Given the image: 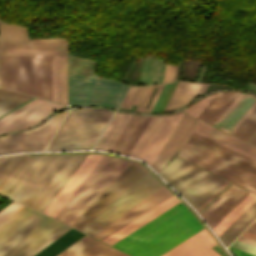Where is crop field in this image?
Returning <instances> with one entry per match:
<instances>
[{
  "instance_id": "obj_1",
  "label": "crop field",
  "mask_w": 256,
  "mask_h": 256,
  "mask_svg": "<svg viewBox=\"0 0 256 256\" xmlns=\"http://www.w3.org/2000/svg\"><path fill=\"white\" fill-rule=\"evenodd\" d=\"M87 155L30 156L1 194L43 212Z\"/></svg>"
},
{
  "instance_id": "obj_2",
  "label": "crop field",
  "mask_w": 256,
  "mask_h": 256,
  "mask_svg": "<svg viewBox=\"0 0 256 256\" xmlns=\"http://www.w3.org/2000/svg\"><path fill=\"white\" fill-rule=\"evenodd\" d=\"M195 218L180 202L112 246L132 256H159L203 229Z\"/></svg>"
},
{
  "instance_id": "obj_3",
  "label": "crop field",
  "mask_w": 256,
  "mask_h": 256,
  "mask_svg": "<svg viewBox=\"0 0 256 256\" xmlns=\"http://www.w3.org/2000/svg\"><path fill=\"white\" fill-rule=\"evenodd\" d=\"M69 228L24 207L0 224V256H33Z\"/></svg>"
},
{
  "instance_id": "obj_4",
  "label": "crop field",
  "mask_w": 256,
  "mask_h": 256,
  "mask_svg": "<svg viewBox=\"0 0 256 256\" xmlns=\"http://www.w3.org/2000/svg\"><path fill=\"white\" fill-rule=\"evenodd\" d=\"M130 163L103 155L55 218L70 225Z\"/></svg>"
},
{
  "instance_id": "obj_5",
  "label": "crop field",
  "mask_w": 256,
  "mask_h": 256,
  "mask_svg": "<svg viewBox=\"0 0 256 256\" xmlns=\"http://www.w3.org/2000/svg\"><path fill=\"white\" fill-rule=\"evenodd\" d=\"M113 113L94 109L70 111L46 150L92 148Z\"/></svg>"
},
{
  "instance_id": "obj_6",
  "label": "crop field",
  "mask_w": 256,
  "mask_h": 256,
  "mask_svg": "<svg viewBox=\"0 0 256 256\" xmlns=\"http://www.w3.org/2000/svg\"><path fill=\"white\" fill-rule=\"evenodd\" d=\"M160 175L179 191L196 210L213 195L226 180L176 157Z\"/></svg>"
},
{
  "instance_id": "obj_7",
  "label": "crop field",
  "mask_w": 256,
  "mask_h": 256,
  "mask_svg": "<svg viewBox=\"0 0 256 256\" xmlns=\"http://www.w3.org/2000/svg\"><path fill=\"white\" fill-rule=\"evenodd\" d=\"M127 87L96 76L69 75V104L117 108Z\"/></svg>"
},
{
  "instance_id": "obj_8",
  "label": "crop field",
  "mask_w": 256,
  "mask_h": 256,
  "mask_svg": "<svg viewBox=\"0 0 256 256\" xmlns=\"http://www.w3.org/2000/svg\"><path fill=\"white\" fill-rule=\"evenodd\" d=\"M162 186L148 171L123 192L82 231L95 235L127 210Z\"/></svg>"
},
{
  "instance_id": "obj_9",
  "label": "crop field",
  "mask_w": 256,
  "mask_h": 256,
  "mask_svg": "<svg viewBox=\"0 0 256 256\" xmlns=\"http://www.w3.org/2000/svg\"><path fill=\"white\" fill-rule=\"evenodd\" d=\"M5 47H61L60 48H6V55L67 54V39L28 40L24 27L10 24L0 25V55H5Z\"/></svg>"
},
{
  "instance_id": "obj_10",
  "label": "crop field",
  "mask_w": 256,
  "mask_h": 256,
  "mask_svg": "<svg viewBox=\"0 0 256 256\" xmlns=\"http://www.w3.org/2000/svg\"><path fill=\"white\" fill-rule=\"evenodd\" d=\"M179 157L256 193V175L203 151L187 142Z\"/></svg>"
},
{
  "instance_id": "obj_11",
  "label": "crop field",
  "mask_w": 256,
  "mask_h": 256,
  "mask_svg": "<svg viewBox=\"0 0 256 256\" xmlns=\"http://www.w3.org/2000/svg\"><path fill=\"white\" fill-rule=\"evenodd\" d=\"M182 115L183 112H177L152 116L129 155L141 158L151 166Z\"/></svg>"
},
{
  "instance_id": "obj_12",
  "label": "crop field",
  "mask_w": 256,
  "mask_h": 256,
  "mask_svg": "<svg viewBox=\"0 0 256 256\" xmlns=\"http://www.w3.org/2000/svg\"><path fill=\"white\" fill-rule=\"evenodd\" d=\"M66 113L58 114L26 132L0 137V153L44 150Z\"/></svg>"
},
{
  "instance_id": "obj_13",
  "label": "crop field",
  "mask_w": 256,
  "mask_h": 256,
  "mask_svg": "<svg viewBox=\"0 0 256 256\" xmlns=\"http://www.w3.org/2000/svg\"><path fill=\"white\" fill-rule=\"evenodd\" d=\"M146 171L143 166L132 162L71 226L81 230Z\"/></svg>"
},
{
  "instance_id": "obj_14",
  "label": "crop field",
  "mask_w": 256,
  "mask_h": 256,
  "mask_svg": "<svg viewBox=\"0 0 256 256\" xmlns=\"http://www.w3.org/2000/svg\"><path fill=\"white\" fill-rule=\"evenodd\" d=\"M1 86L35 96V56H0Z\"/></svg>"
},
{
  "instance_id": "obj_15",
  "label": "crop field",
  "mask_w": 256,
  "mask_h": 256,
  "mask_svg": "<svg viewBox=\"0 0 256 256\" xmlns=\"http://www.w3.org/2000/svg\"><path fill=\"white\" fill-rule=\"evenodd\" d=\"M248 193L231 183L200 214L213 229Z\"/></svg>"
},
{
  "instance_id": "obj_16",
  "label": "crop field",
  "mask_w": 256,
  "mask_h": 256,
  "mask_svg": "<svg viewBox=\"0 0 256 256\" xmlns=\"http://www.w3.org/2000/svg\"><path fill=\"white\" fill-rule=\"evenodd\" d=\"M167 190L163 186L160 187L158 190H156L154 193L149 195L143 201L138 203L136 206H134L128 212L123 214L117 220H115L110 225H108L106 228H104L99 233H97L94 237H96L100 240L104 239L105 237L109 236L110 234L117 231L121 227L125 226L129 222L133 221L137 217L141 216L145 212L149 211L153 207L157 206L161 202L165 201L169 197L173 196Z\"/></svg>"
},
{
  "instance_id": "obj_17",
  "label": "crop field",
  "mask_w": 256,
  "mask_h": 256,
  "mask_svg": "<svg viewBox=\"0 0 256 256\" xmlns=\"http://www.w3.org/2000/svg\"><path fill=\"white\" fill-rule=\"evenodd\" d=\"M197 119L184 113L171 136L165 143L159 155L155 159L152 167L159 171L166 163H168L178 152L189 132L193 128Z\"/></svg>"
},
{
  "instance_id": "obj_18",
  "label": "crop field",
  "mask_w": 256,
  "mask_h": 256,
  "mask_svg": "<svg viewBox=\"0 0 256 256\" xmlns=\"http://www.w3.org/2000/svg\"><path fill=\"white\" fill-rule=\"evenodd\" d=\"M101 156V154H89L76 172L72 175V177L68 180L65 186L63 185L64 187L61 189V191L59 190L60 192L57 194V196L55 195L56 197L53 199V201L51 200L52 202L49 204V206L47 205L48 207L45 209V211L43 210L44 213L54 217L66 200L90 172L93 166L101 158Z\"/></svg>"
},
{
  "instance_id": "obj_19",
  "label": "crop field",
  "mask_w": 256,
  "mask_h": 256,
  "mask_svg": "<svg viewBox=\"0 0 256 256\" xmlns=\"http://www.w3.org/2000/svg\"><path fill=\"white\" fill-rule=\"evenodd\" d=\"M62 107H65V105L44 100L0 125V134L29 127L41 121L53 111Z\"/></svg>"
},
{
  "instance_id": "obj_20",
  "label": "crop field",
  "mask_w": 256,
  "mask_h": 256,
  "mask_svg": "<svg viewBox=\"0 0 256 256\" xmlns=\"http://www.w3.org/2000/svg\"><path fill=\"white\" fill-rule=\"evenodd\" d=\"M252 98L256 100V97L249 95V94H244L240 93L236 99L227 107V109L217 118V120L212 124L230 134L234 132V130L240 125V123L246 118V116L252 111V109L256 106V101L249 99ZM245 97V98H244ZM244 98V99H243ZM243 99V100H242ZM242 100V102H241ZM241 102V103H240ZM254 102V103H253ZM240 103V104H239ZM253 103V104H252ZM239 104V105H238ZM252 106L250 107V105ZM238 105V106H237ZM237 106V107H236ZM236 107V108H235ZM250 107V108H249ZM235 108V109H234ZM249 108V109H248ZM234 109V110H233ZM248 109V110H247ZM233 110V112H232ZM247 110V111H246ZM246 111V112H245ZM232 112V113H231ZM245 112V113H244ZM231 113V114H230ZM244 113V114H243ZM230 114V115H229ZM243 114V116H242ZM229 115V116H228ZM228 116V117H227ZM242 116V117H241ZM227 117V118H226ZM241 117V118H240ZM226 118V119H225ZM240 118V119H239ZM225 119V120H224ZM239 119V120H238ZM224 120V122H223ZM238 120V121H237ZM237 121V122H236ZM223 122V123H222ZM236 122V123H235ZM222 123V124H221ZM235 123V124H234ZM226 127L230 129L233 124L234 126L228 130L226 128H223L221 126Z\"/></svg>"
},
{
  "instance_id": "obj_21",
  "label": "crop field",
  "mask_w": 256,
  "mask_h": 256,
  "mask_svg": "<svg viewBox=\"0 0 256 256\" xmlns=\"http://www.w3.org/2000/svg\"><path fill=\"white\" fill-rule=\"evenodd\" d=\"M216 243L203 229L161 256H212Z\"/></svg>"
},
{
  "instance_id": "obj_22",
  "label": "crop field",
  "mask_w": 256,
  "mask_h": 256,
  "mask_svg": "<svg viewBox=\"0 0 256 256\" xmlns=\"http://www.w3.org/2000/svg\"><path fill=\"white\" fill-rule=\"evenodd\" d=\"M194 131L256 160L255 147L231 135H228L202 121H198L197 125L194 128Z\"/></svg>"
},
{
  "instance_id": "obj_23",
  "label": "crop field",
  "mask_w": 256,
  "mask_h": 256,
  "mask_svg": "<svg viewBox=\"0 0 256 256\" xmlns=\"http://www.w3.org/2000/svg\"><path fill=\"white\" fill-rule=\"evenodd\" d=\"M208 84L179 80L164 111L185 105L194 96L205 92Z\"/></svg>"
},
{
  "instance_id": "obj_24",
  "label": "crop field",
  "mask_w": 256,
  "mask_h": 256,
  "mask_svg": "<svg viewBox=\"0 0 256 256\" xmlns=\"http://www.w3.org/2000/svg\"><path fill=\"white\" fill-rule=\"evenodd\" d=\"M178 202H180V201L178 199H176L174 196L171 197L170 199L166 200L162 204L158 205L154 209L150 210L146 214L142 215L138 219L134 220L130 224L126 225L125 227L118 230L117 232H115L114 234L110 235L109 237H107L106 239H104L102 241H104L110 245L113 244L114 242L118 241L122 237L126 236L130 232L134 231L138 227L142 226L143 224H145L149 220L153 219L157 215L161 214L165 210L169 209L173 205L177 204Z\"/></svg>"
},
{
  "instance_id": "obj_25",
  "label": "crop field",
  "mask_w": 256,
  "mask_h": 256,
  "mask_svg": "<svg viewBox=\"0 0 256 256\" xmlns=\"http://www.w3.org/2000/svg\"><path fill=\"white\" fill-rule=\"evenodd\" d=\"M130 117V114L116 112L94 149L110 151Z\"/></svg>"
},
{
  "instance_id": "obj_26",
  "label": "crop field",
  "mask_w": 256,
  "mask_h": 256,
  "mask_svg": "<svg viewBox=\"0 0 256 256\" xmlns=\"http://www.w3.org/2000/svg\"><path fill=\"white\" fill-rule=\"evenodd\" d=\"M239 93L219 92L198 118L212 124Z\"/></svg>"
},
{
  "instance_id": "obj_27",
  "label": "crop field",
  "mask_w": 256,
  "mask_h": 256,
  "mask_svg": "<svg viewBox=\"0 0 256 256\" xmlns=\"http://www.w3.org/2000/svg\"><path fill=\"white\" fill-rule=\"evenodd\" d=\"M255 217L256 201L219 236L224 245L227 246ZM225 238L226 243L230 240L227 244Z\"/></svg>"
},
{
  "instance_id": "obj_28",
  "label": "crop field",
  "mask_w": 256,
  "mask_h": 256,
  "mask_svg": "<svg viewBox=\"0 0 256 256\" xmlns=\"http://www.w3.org/2000/svg\"><path fill=\"white\" fill-rule=\"evenodd\" d=\"M187 142H189V143H191V144H193V145H195V146H197V147H199L203 150H206V151H208V152H210V153H212V154H214V155H216V156H218L222 159H225V160H227V161H229V162H231V163H233V164H235L239 167H242V168L256 174V167L255 166H253V165H251V164H249V163H247V162H245V161H243V160H241L237 157H234V156H232V155H230V154H228V153H226V152H224V151H222V150H220V149H218L214 146H211V145H209V144H207V143H205V142H203V141H201V140H199V139H197V138H195L191 135H189V137L187 139Z\"/></svg>"
},
{
  "instance_id": "obj_29",
  "label": "crop field",
  "mask_w": 256,
  "mask_h": 256,
  "mask_svg": "<svg viewBox=\"0 0 256 256\" xmlns=\"http://www.w3.org/2000/svg\"><path fill=\"white\" fill-rule=\"evenodd\" d=\"M82 235L84 234L71 228L34 256H55Z\"/></svg>"
},
{
  "instance_id": "obj_30",
  "label": "crop field",
  "mask_w": 256,
  "mask_h": 256,
  "mask_svg": "<svg viewBox=\"0 0 256 256\" xmlns=\"http://www.w3.org/2000/svg\"><path fill=\"white\" fill-rule=\"evenodd\" d=\"M82 256H116V250L89 237H82Z\"/></svg>"
},
{
  "instance_id": "obj_31",
  "label": "crop field",
  "mask_w": 256,
  "mask_h": 256,
  "mask_svg": "<svg viewBox=\"0 0 256 256\" xmlns=\"http://www.w3.org/2000/svg\"><path fill=\"white\" fill-rule=\"evenodd\" d=\"M256 195L249 193L213 230L219 236L238 216H240L254 201Z\"/></svg>"
},
{
  "instance_id": "obj_32",
  "label": "crop field",
  "mask_w": 256,
  "mask_h": 256,
  "mask_svg": "<svg viewBox=\"0 0 256 256\" xmlns=\"http://www.w3.org/2000/svg\"><path fill=\"white\" fill-rule=\"evenodd\" d=\"M33 96L0 87V115L27 101Z\"/></svg>"
},
{
  "instance_id": "obj_33",
  "label": "crop field",
  "mask_w": 256,
  "mask_h": 256,
  "mask_svg": "<svg viewBox=\"0 0 256 256\" xmlns=\"http://www.w3.org/2000/svg\"><path fill=\"white\" fill-rule=\"evenodd\" d=\"M143 118L144 116L132 115L131 119L129 120L121 135L117 139L116 143L112 147V152L121 153V151L129 141L132 134L134 133V131L136 130V128L138 127Z\"/></svg>"
},
{
  "instance_id": "obj_34",
  "label": "crop field",
  "mask_w": 256,
  "mask_h": 256,
  "mask_svg": "<svg viewBox=\"0 0 256 256\" xmlns=\"http://www.w3.org/2000/svg\"><path fill=\"white\" fill-rule=\"evenodd\" d=\"M59 102L67 104V55L58 56Z\"/></svg>"
},
{
  "instance_id": "obj_35",
  "label": "crop field",
  "mask_w": 256,
  "mask_h": 256,
  "mask_svg": "<svg viewBox=\"0 0 256 256\" xmlns=\"http://www.w3.org/2000/svg\"><path fill=\"white\" fill-rule=\"evenodd\" d=\"M255 130H256V107L247 116V118L241 123V125L235 130L233 135L246 141Z\"/></svg>"
},
{
  "instance_id": "obj_36",
  "label": "crop field",
  "mask_w": 256,
  "mask_h": 256,
  "mask_svg": "<svg viewBox=\"0 0 256 256\" xmlns=\"http://www.w3.org/2000/svg\"><path fill=\"white\" fill-rule=\"evenodd\" d=\"M145 88H146V86L145 87H130L120 105V108H124L126 104H127V107H126L127 109H130L132 104L137 105Z\"/></svg>"
},
{
  "instance_id": "obj_37",
  "label": "crop field",
  "mask_w": 256,
  "mask_h": 256,
  "mask_svg": "<svg viewBox=\"0 0 256 256\" xmlns=\"http://www.w3.org/2000/svg\"><path fill=\"white\" fill-rule=\"evenodd\" d=\"M163 85L164 84L148 86L146 91H145V93H144V95H143V97H142V99H141V101H140V103H139V105H138V107H137V109H136V111H140V112H145L146 111L145 106H146V104H147V102L149 100V97H150L154 87H159V89H158V91H157V93H156V95H155V97H154V99H153V101H152L148 111H147V112H150L152 107H153V105H154V103H155V101H156V99H157V97H158V95H159V93H160V91H161V89H162V87H163Z\"/></svg>"
},
{
  "instance_id": "obj_38",
  "label": "crop field",
  "mask_w": 256,
  "mask_h": 256,
  "mask_svg": "<svg viewBox=\"0 0 256 256\" xmlns=\"http://www.w3.org/2000/svg\"><path fill=\"white\" fill-rule=\"evenodd\" d=\"M191 135H193V136H195V137H197V138H199V139H201V140H203V141H205V142H207L211 145H214V146H216V147H218V148H220V149H222V150H224V151H226V152H228V153H230L234 156H237V157H239V158H241V159H243V160H245V161H247V162L256 166V161H254V160H252V159H250V158H248V157H246V156H244L240 153H237V152H235V151H233V150H231V149H229V148H227V147H225V146H223V145H221L217 142H214V141H212V140H210V139H208V138H206V137H204V136H202V135H200V134H198L194 131H192Z\"/></svg>"
},
{
  "instance_id": "obj_39",
  "label": "crop field",
  "mask_w": 256,
  "mask_h": 256,
  "mask_svg": "<svg viewBox=\"0 0 256 256\" xmlns=\"http://www.w3.org/2000/svg\"><path fill=\"white\" fill-rule=\"evenodd\" d=\"M216 94H212L210 96L203 98L202 100L196 102L190 107L183 109V111L197 117L200 114V112L207 106V104L214 98Z\"/></svg>"
},
{
  "instance_id": "obj_40",
  "label": "crop field",
  "mask_w": 256,
  "mask_h": 256,
  "mask_svg": "<svg viewBox=\"0 0 256 256\" xmlns=\"http://www.w3.org/2000/svg\"><path fill=\"white\" fill-rule=\"evenodd\" d=\"M52 100L58 102L57 56H52Z\"/></svg>"
},
{
  "instance_id": "obj_41",
  "label": "crop field",
  "mask_w": 256,
  "mask_h": 256,
  "mask_svg": "<svg viewBox=\"0 0 256 256\" xmlns=\"http://www.w3.org/2000/svg\"><path fill=\"white\" fill-rule=\"evenodd\" d=\"M23 206L18 205L14 202H12L11 204H9L7 207L3 208L0 211V223L3 222L4 220H6L8 217H10L11 215H13L15 212H17L18 210H20Z\"/></svg>"
},
{
  "instance_id": "obj_42",
  "label": "crop field",
  "mask_w": 256,
  "mask_h": 256,
  "mask_svg": "<svg viewBox=\"0 0 256 256\" xmlns=\"http://www.w3.org/2000/svg\"><path fill=\"white\" fill-rule=\"evenodd\" d=\"M42 101V99H34L31 102L25 104L24 106L20 107L19 109L15 110L14 112L8 114L7 116L3 117L2 119H0V124L4 123L5 121L11 119L12 117L18 115L19 113L25 111L26 109L30 108L31 106L37 104L38 102Z\"/></svg>"
},
{
  "instance_id": "obj_43",
  "label": "crop field",
  "mask_w": 256,
  "mask_h": 256,
  "mask_svg": "<svg viewBox=\"0 0 256 256\" xmlns=\"http://www.w3.org/2000/svg\"><path fill=\"white\" fill-rule=\"evenodd\" d=\"M150 118H151V116H145V118L143 119L142 123L140 124V126L136 130L135 134L133 135V137L129 141L128 145L126 146V149L131 150V148L133 147L134 143L138 139L139 135L143 131L144 127L146 126V124L148 123Z\"/></svg>"
},
{
  "instance_id": "obj_44",
  "label": "crop field",
  "mask_w": 256,
  "mask_h": 256,
  "mask_svg": "<svg viewBox=\"0 0 256 256\" xmlns=\"http://www.w3.org/2000/svg\"><path fill=\"white\" fill-rule=\"evenodd\" d=\"M177 73V66L167 64L163 82H171L175 79Z\"/></svg>"
},
{
  "instance_id": "obj_45",
  "label": "crop field",
  "mask_w": 256,
  "mask_h": 256,
  "mask_svg": "<svg viewBox=\"0 0 256 256\" xmlns=\"http://www.w3.org/2000/svg\"><path fill=\"white\" fill-rule=\"evenodd\" d=\"M67 256H81V239L67 248Z\"/></svg>"
},
{
  "instance_id": "obj_46",
  "label": "crop field",
  "mask_w": 256,
  "mask_h": 256,
  "mask_svg": "<svg viewBox=\"0 0 256 256\" xmlns=\"http://www.w3.org/2000/svg\"><path fill=\"white\" fill-rule=\"evenodd\" d=\"M231 246L256 254V247L242 243L237 240L234 243H232Z\"/></svg>"
},
{
  "instance_id": "obj_47",
  "label": "crop field",
  "mask_w": 256,
  "mask_h": 256,
  "mask_svg": "<svg viewBox=\"0 0 256 256\" xmlns=\"http://www.w3.org/2000/svg\"><path fill=\"white\" fill-rule=\"evenodd\" d=\"M230 182H226L213 196H211L197 211L200 212L214 197H216Z\"/></svg>"
},
{
  "instance_id": "obj_48",
  "label": "crop field",
  "mask_w": 256,
  "mask_h": 256,
  "mask_svg": "<svg viewBox=\"0 0 256 256\" xmlns=\"http://www.w3.org/2000/svg\"><path fill=\"white\" fill-rule=\"evenodd\" d=\"M230 249L234 253L235 256H256V255H253V254H250L248 252L236 249V248L231 247V246H230Z\"/></svg>"
},
{
  "instance_id": "obj_49",
  "label": "crop field",
  "mask_w": 256,
  "mask_h": 256,
  "mask_svg": "<svg viewBox=\"0 0 256 256\" xmlns=\"http://www.w3.org/2000/svg\"><path fill=\"white\" fill-rule=\"evenodd\" d=\"M237 240H240V241H242V242H245V243H248V244H251V245L256 246V242H255V241L249 240V239L244 238V237H241V236H239V237L237 238Z\"/></svg>"
},
{
  "instance_id": "obj_50",
  "label": "crop field",
  "mask_w": 256,
  "mask_h": 256,
  "mask_svg": "<svg viewBox=\"0 0 256 256\" xmlns=\"http://www.w3.org/2000/svg\"><path fill=\"white\" fill-rule=\"evenodd\" d=\"M241 236H244V237H247L249 239H252V240H255L256 241V235L252 234V233H249V232H246L244 231Z\"/></svg>"
},
{
  "instance_id": "obj_51",
  "label": "crop field",
  "mask_w": 256,
  "mask_h": 256,
  "mask_svg": "<svg viewBox=\"0 0 256 256\" xmlns=\"http://www.w3.org/2000/svg\"><path fill=\"white\" fill-rule=\"evenodd\" d=\"M246 231L252 232L254 234H256V224L252 223L247 229Z\"/></svg>"
},
{
  "instance_id": "obj_52",
  "label": "crop field",
  "mask_w": 256,
  "mask_h": 256,
  "mask_svg": "<svg viewBox=\"0 0 256 256\" xmlns=\"http://www.w3.org/2000/svg\"><path fill=\"white\" fill-rule=\"evenodd\" d=\"M117 256H127V255H125V254H123V253L117 251Z\"/></svg>"
},
{
  "instance_id": "obj_53",
  "label": "crop field",
  "mask_w": 256,
  "mask_h": 256,
  "mask_svg": "<svg viewBox=\"0 0 256 256\" xmlns=\"http://www.w3.org/2000/svg\"><path fill=\"white\" fill-rule=\"evenodd\" d=\"M58 256H66V250H64L62 253H60Z\"/></svg>"
},
{
  "instance_id": "obj_54",
  "label": "crop field",
  "mask_w": 256,
  "mask_h": 256,
  "mask_svg": "<svg viewBox=\"0 0 256 256\" xmlns=\"http://www.w3.org/2000/svg\"><path fill=\"white\" fill-rule=\"evenodd\" d=\"M3 157H0V161L2 160Z\"/></svg>"
},
{
  "instance_id": "obj_55",
  "label": "crop field",
  "mask_w": 256,
  "mask_h": 256,
  "mask_svg": "<svg viewBox=\"0 0 256 256\" xmlns=\"http://www.w3.org/2000/svg\"><path fill=\"white\" fill-rule=\"evenodd\" d=\"M255 223H256V221H255Z\"/></svg>"
}]
</instances>
